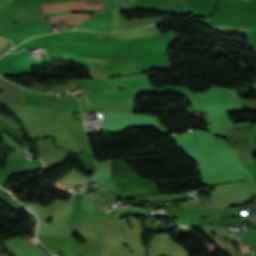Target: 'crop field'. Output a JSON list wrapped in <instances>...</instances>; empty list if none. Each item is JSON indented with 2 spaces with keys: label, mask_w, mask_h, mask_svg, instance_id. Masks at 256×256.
<instances>
[{
  "label": "crop field",
  "mask_w": 256,
  "mask_h": 256,
  "mask_svg": "<svg viewBox=\"0 0 256 256\" xmlns=\"http://www.w3.org/2000/svg\"><path fill=\"white\" fill-rule=\"evenodd\" d=\"M108 166V165H107ZM109 174V173H108Z\"/></svg>",
  "instance_id": "crop-field-6"
},
{
  "label": "crop field",
  "mask_w": 256,
  "mask_h": 256,
  "mask_svg": "<svg viewBox=\"0 0 256 256\" xmlns=\"http://www.w3.org/2000/svg\"><path fill=\"white\" fill-rule=\"evenodd\" d=\"M90 16H92V14L71 13V14L63 15V16L56 17V18H50V19H47V21L49 22V24L59 22V21H65V22L69 23V25H73V24L80 23L82 20H84Z\"/></svg>",
  "instance_id": "crop-field-1"
},
{
  "label": "crop field",
  "mask_w": 256,
  "mask_h": 256,
  "mask_svg": "<svg viewBox=\"0 0 256 256\" xmlns=\"http://www.w3.org/2000/svg\"><path fill=\"white\" fill-rule=\"evenodd\" d=\"M8 42L0 39V49L7 45Z\"/></svg>",
  "instance_id": "crop-field-3"
},
{
  "label": "crop field",
  "mask_w": 256,
  "mask_h": 256,
  "mask_svg": "<svg viewBox=\"0 0 256 256\" xmlns=\"http://www.w3.org/2000/svg\"><path fill=\"white\" fill-rule=\"evenodd\" d=\"M84 101V100H83ZM84 103H86L85 101H84Z\"/></svg>",
  "instance_id": "crop-field-4"
},
{
  "label": "crop field",
  "mask_w": 256,
  "mask_h": 256,
  "mask_svg": "<svg viewBox=\"0 0 256 256\" xmlns=\"http://www.w3.org/2000/svg\"><path fill=\"white\" fill-rule=\"evenodd\" d=\"M101 65H130V59L103 58Z\"/></svg>",
  "instance_id": "crop-field-2"
},
{
  "label": "crop field",
  "mask_w": 256,
  "mask_h": 256,
  "mask_svg": "<svg viewBox=\"0 0 256 256\" xmlns=\"http://www.w3.org/2000/svg\"><path fill=\"white\" fill-rule=\"evenodd\" d=\"M56 252V250H54Z\"/></svg>",
  "instance_id": "crop-field-5"
}]
</instances>
